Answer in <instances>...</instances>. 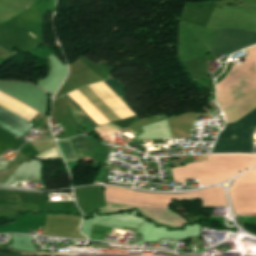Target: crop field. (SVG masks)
I'll return each mask as SVG.
<instances>
[{"label": "crop field", "mask_w": 256, "mask_h": 256, "mask_svg": "<svg viewBox=\"0 0 256 256\" xmlns=\"http://www.w3.org/2000/svg\"><path fill=\"white\" fill-rule=\"evenodd\" d=\"M107 207L98 209L100 214L114 213L137 208L140 213L153 221L179 228L185 224V219L167 209L169 203L181 200L199 198L203 206H226L225 193L221 187L183 194L155 195L124 190L117 187H105Z\"/></svg>", "instance_id": "crop-field-1"}, {"label": "crop field", "mask_w": 256, "mask_h": 256, "mask_svg": "<svg viewBox=\"0 0 256 256\" xmlns=\"http://www.w3.org/2000/svg\"><path fill=\"white\" fill-rule=\"evenodd\" d=\"M241 65L234 64L231 71L216 84L217 103L228 122H234L256 108V46Z\"/></svg>", "instance_id": "crop-field-2"}, {"label": "crop field", "mask_w": 256, "mask_h": 256, "mask_svg": "<svg viewBox=\"0 0 256 256\" xmlns=\"http://www.w3.org/2000/svg\"><path fill=\"white\" fill-rule=\"evenodd\" d=\"M210 162L190 163L185 167L172 168L175 181L185 183L184 179L197 178L202 185L216 183L231 175L256 165L252 155H209Z\"/></svg>", "instance_id": "crop-field-3"}, {"label": "crop field", "mask_w": 256, "mask_h": 256, "mask_svg": "<svg viewBox=\"0 0 256 256\" xmlns=\"http://www.w3.org/2000/svg\"><path fill=\"white\" fill-rule=\"evenodd\" d=\"M252 127H256V109L226 124L211 153H253Z\"/></svg>", "instance_id": "crop-field-4"}, {"label": "crop field", "mask_w": 256, "mask_h": 256, "mask_svg": "<svg viewBox=\"0 0 256 256\" xmlns=\"http://www.w3.org/2000/svg\"><path fill=\"white\" fill-rule=\"evenodd\" d=\"M229 193L234 213H256V169L237 178Z\"/></svg>", "instance_id": "crop-field-5"}, {"label": "crop field", "mask_w": 256, "mask_h": 256, "mask_svg": "<svg viewBox=\"0 0 256 256\" xmlns=\"http://www.w3.org/2000/svg\"><path fill=\"white\" fill-rule=\"evenodd\" d=\"M254 44H256V32L231 29L218 30L215 33L211 52L229 55Z\"/></svg>", "instance_id": "crop-field-6"}, {"label": "crop field", "mask_w": 256, "mask_h": 256, "mask_svg": "<svg viewBox=\"0 0 256 256\" xmlns=\"http://www.w3.org/2000/svg\"><path fill=\"white\" fill-rule=\"evenodd\" d=\"M0 105L9 109V110H11V111H13L14 113L18 114L19 116L23 117L24 119H26L28 121L31 119V118H29V117L15 111V110L11 109V108H9V107L1 104V103H0ZM0 112L4 115L8 116L9 118L15 120L16 122L22 124L23 126L29 128V129L31 128L27 125L29 122L25 121L24 119L17 116L16 114H14V113H12V112H10V111L2 108V107H0ZM1 113H0V127L6 129L7 131L11 132L12 134H14L18 137L29 130V129L23 127L22 125L16 123L15 121L9 119L8 117L2 115Z\"/></svg>", "instance_id": "crop-field-7"}, {"label": "crop field", "mask_w": 256, "mask_h": 256, "mask_svg": "<svg viewBox=\"0 0 256 256\" xmlns=\"http://www.w3.org/2000/svg\"><path fill=\"white\" fill-rule=\"evenodd\" d=\"M59 144L61 146V149L63 151L66 161L67 162L76 161V157H75L74 153L72 152L70 146L68 145L67 141L60 142ZM59 144H58V146H59ZM60 146H59V148H60Z\"/></svg>", "instance_id": "crop-field-8"}, {"label": "crop field", "mask_w": 256, "mask_h": 256, "mask_svg": "<svg viewBox=\"0 0 256 256\" xmlns=\"http://www.w3.org/2000/svg\"><path fill=\"white\" fill-rule=\"evenodd\" d=\"M0 46L3 47L5 50H7L8 52L14 54V52H12L10 49H8L7 47H5L3 44L0 43Z\"/></svg>", "instance_id": "crop-field-9"}, {"label": "crop field", "mask_w": 256, "mask_h": 256, "mask_svg": "<svg viewBox=\"0 0 256 256\" xmlns=\"http://www.w3.org/2000/svg\"><path fill=\"white\" fill-rule=\"evenodd\" d=\"M0 256H18V255H8L0 252Z\"/></svg>", "instance_id": "crop-field-10"}]
</instances>
